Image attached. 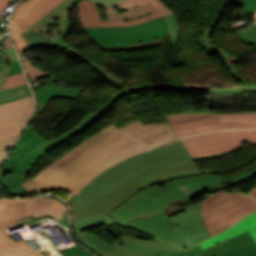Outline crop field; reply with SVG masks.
I'll list each match as a JSON object with an SVG mask.
<instances>
[{
    "label": "crop field",
    "mask_w": 256,
    "mask_h": 256,
    "mask_svg": "<svg viewBox=\"0 0 256 256\" xmlns=\"http://www.w3.org/2000/svg\"><path fill=\"white\" fill-rule=\"evenodd\" d=\"M147 150L110 125L71 149L21 186L31 193L67 190L72 194L103 169Z\"/></svg>",
    "instance_id": "8a807250"
},
{
    "label": "crop field",
    "mask_w": 256,
    "mask_h": 256,
    "mask_svg": "<svg viewBox=\"0 0 256 256\" xmlns=\"http://www.w3.org/2000/svg\"><path fill=\"white\" fill-rule=\"evenodd\" d=\"M221 183L222 174H204L166 183V188L156 186L138 193L116 212L107 215L114 221L141 229L160 241L170 242V224L167 215L163 213L168 203L185 198L192 199Z\"/></svg>",
    "instance_id": "ac0d7876"
},
{
    "label": "crop field",
    "mask_w": 256,
    "mask_h": 256,
    "mask_svg": "<svg viewBox=\"0 0 256 256\" xmlns=\"http://www.w3.org/2000/svg\"><path fill=\"white\" fill-rule=\"evenodd\" d=\"M125 90L116 92L95 114L87 113L82 122L61 136L46 140L31 128H27L16 148L0 171V184L14 193H29L19 184L24 182L33 166L48 152L89 128L108 110L114 107L112 102ZM21 161V163H19Z\"/></svg>",
    "instance_id": "34b2d1b8"
},
{
    "label": "crop field",
    "mask_w": 256,
    "mask_h": 256,
    "mask_svg": "<svg viewBox=\"0 0 256 256\" xmlns=\"http://www.w3.org/2000/svg\"><path fill=\"white\" fill-rule=\"evenodd\" d=\"M191 159L179 139L141 155L130 157L98 175L88 186L72 196L73 211L84 210L126 178L176 161Z\"/></svg>",
    "instance_id": "412701ff"
},
{
    "label": "crop field",
    "mask_w": 256,
    "mask_h": 256,
    "mask_svg": "<svg viewBox=\"0 0 256 256\" xmlns=\"http://www.w3.org/2000/svg\"><path fill=\"white\" fill-rule=\"evenodd\" d=\"M79 17L83 29L99 46H127L170 35L165 17L133 26L127 21L101 22L96 4L89 0L79 3Z\"/></svg>",
    "instance_id": "f4fd0767"
},
{
    "label": "crop field",
    "mask_w": 256,
    "mask_h": 256,
    "mask_svg": "<svg viewBox=\"0 0 256 256\" xmlns=\"http://www.w3.org/2000/svg\"><path fill=\"white\" fill-rule=\"evenodd\" d=\"M34 215V217H33ZM50 215L68 227L67 207L59 200L49 197H34L16 200L4 197L0 200V256H45L41 251L34 253L26 241L16 243L1 230L17 225V221L32 217L33 220Z\"/></svg>",
    "instance_id": "dd49c442"
},
{
    "label": "crop field",
    "mask_w": 256,
    "mask_h": 256,
    "mask_svg": "<svg viewBox=\"0 0 256 256\" xmlns=\"http://www.w3.org/2000/svg\"><path fill=\"white\" fill-rule=\"evenodd\" d=\"M204 173H221L218 170L198 171L193 160L167 164L136 174L121 182L116 188L103 196L87 210L73 212L74 220L109 213L132 193L154 184L186 175ZM133 195V194H132Z\"/></svg>",
    "instance_id": "e52e79f7"
},
{
    "label": "crop field",
    "mask_w": 256,
    "mask_h": 256,
    "mask_svg": "<svg viewBox=\"0 0 256 256\" xmlns=\"http://www.w3.org/2000/svg\"><path fill=\"white\" fill-rule=\"evenodd\" d=\"M165 117L176 138L211 130L256 127V111L228 114L182 113Z\"/></svg>",
    "instance_id": "d8731c3e"
},
{
    "label": "crop field",
    "mask_w": 256,
    "mask_h": 256,
    "mask_svg": "<svg viewBox=\"0 0 256 256\" xmlns=\"http://www.w3.org/2000/svg\"><path fill=\"white\" fill-rule=\"evenodd\" d=\"M255 210L256 200L240 191L212 194L202 205L205 225L212 236Z\"/></svg>",
    "instance_id": "5a996713"
},
{
    "label": "crop field",
    "mask_w": 256,
    "mask_h": 256,
    "mask_svg": "<svg viewBox=\"0 0 256 256\" xmlns=\"http://www.w3.org/2000/svg\"><path fill=\"white\" fill-rule=\"evenodd\" d=\"M180 141L191 158H201L226 153L246 142L256 146V129L208 132L186 138Z\"/></svg>",
    "instance_id": "3316defc"
},
{
    "label": "crop field",
    "mask_w": 256,
    "mask_h": 256,
    "mask_svg": "<svg viewBox=\"0 0 256 256\" xmlns=\"http://www.w3.org/2000/svg\"><path fill=\"white\" fill-rule=\"evenodd\" d=\"M33 110V97L0 105V164L6 148L17 139Z\"/></svg>",
    "instance_id": "28ad6ade"
},
{
    "label": "crop field",
    "mask_w": 256,
    "mask_h": 256,
    "mask_svg": "<svg viewBox=\"0 0 256 256\" xmlns=\"http://www.w3.org/2000/svg\"><path fill=\"white\" fill-rule=\"evenodd\" d=\"M204 200L187 206L185 212L172 217L170 220L179 225H173L171 234L173 239L171 242L182 248H189L195 244L212 237L203 221L201 214V205Z\"/></svg>",
    "instance_id": "d1516ede"
},
{
    "label": "crop field",
    "mask_w": 256,
    "mask_h": 256,
    "mask_svg": "<svg viewBox=\"0 0 256 256\" xmlns=\"http://www.w3.org/2000/svg\"><path fill=\"white\" fill-rule=\"evenodd\" d=\"M223 61L225 62L227 68L230 70L232 75L237 78L239 81L242 80L241 76L237 72L234 65H232L231 61L228 57L220 54ZM243 81V80H242ZM244 82V81H243ZM246 86H236L232 88H201V87H191V86H183L178 84H141L136 85L132 87H124L125 90H132L131 92L124 93L122 95H126L133 92L138 91H144L148 89H164V90H173L178 91L182 93H190L194 90H207L212 91L214 96H229V95H235V94H242L245 91L256 89V85H248L246 82H244Z\"/></svg>",
    "instance_id": "22f410ed"
},
{
    "label": "crop field",
    "mask_w": 256,
    "mask_h": 256,
    "mask_svg": "<svg viewBox=\"0 0 256 256\" xmlns=\"http://www.w3.org/2000/svg\"><path fill=\"white\" fill-rule=\"evenodd\" d=\"M79 239L80 243H82L84 246L87 248L91 249L92 251L98 253L102 249L106 248L108 245L101 239L86 233L84 235H79L77 236ZM123 245L129 246L135 250L141 251L146 254H151L153 255L155 250H164V251H183L179 249L178 247L165 243V242H149V241H143L139 239L132 238L130 236L125 235L122 237L121 240L117 241ZM115 244V243H114ZM113 244V245H114ZM111 245V246H113Z\"/></svg>",
    "instance_id": "cbeb9de0"
},
{
    "label": "crop field",
    "mask_w": 256,
    "mask_h": 256,
    "mask_svg": "<svg viewBox=\"0 0 256 256\" xmlns=\"http://www.w3.org/2000/svg\"><path fill=\"white\" fill-rule=\"evenodd\" d=\"M120 130L150 148H154L174 139L167 123L143 125L138 121L136 123L123 126Z\"/></svg>",
    "instance_id": "5142ce71"
},
{
    "label": "crop field",
    "mask_w": 256,
    "mask_h": 256,
    "mask_svg": "<svg viewBox=\"0 0 256 256\" xmlns=\"http://www.w3.org/2000/svg\"><path fill=\"white\" fill-rule=\"evenodd\" d=\"M63 0H27L15 10L12 21L21 30H25L38 19L48 14Z\"/></svg>",
    "instance_id": "d9b57169"
},
{
    "label": "crop field",
    "mask_w": 256,
    "mask_h": 256,
    "mask_svg": "<svg viewBox=\"0 0 256 256\" xmlns=\"http://www.w3.org/2000/svg\"><path fill=\"white\" fill-rule=\"evenodd\" d=\"M256 247L249 231L204 251L206 256H233Z\"/></svg>",
    "instance_id": "733c2abd"
},
{
    "label": "crop field",
    "mask_w": 256,
    "mask_h": 256,
    "mask_svg": "<svg viewBox=\"0 0 256 256\" xmlns=\"http://www.w3.org/2000/svg\"><path fill=\"white\" fill-rule=\"evenodd\" d=\"M249 230L252 237L256 241V212L250 214L245 219H243L238 224L232 226L231 228L227 229L223 233L208 239L201 243L203 249H206L208 247H212L226 239L233 238L245 231Z\"/></svg>",
    "instance_id": "4a817a6b"
},
{
    "label": "crop field",
    "mask_w": 256,
    "mask_h": 256,
    "mask_svg": "<svg viewBox=\"0 0 256 256\" xmlns=\"http://www.w3.org/2000/svg\"><path fill=\"white\" fill-rule=\"evenodd\" d=\"M84 89L56 87L52 83L35 91L37 100L50 102L54 97L76 98Z\"/></svg>",
    "instance_id": "bc2a9ffb"
},
{
    "label": "crop field",
    "mask_w": 256,
    "mask_h": 256,
    "mask_svg": "<svg viewBox=\"0 0 256 256\" xmlns=\"http://www.w3.org/2000/svg\"><path fill=\"white\" fill-rule=\"evenodd\" d=\"M110 223H113V221L107 215L90 217V218H85L79 221H74V229H75L76 235H78V234H83L81 231H83L86 228H89L92 226L101 227Z\"/></svg>",
    "instance_id": "214f88e0"
},
{
    "label": "crop field",
    "mask_w": 256,
    "mask_h": 256,
    "mask_svg": "<svg viewBox=\"0 0 256 256\" xmlns=\"http://www.w3.org/2000/svg\"><path fill=\"white\" fill-rule=\"evenodd\" d=\"M28 85L7 89L0 92V104L31 97Z\"/></svg>",
    "instance_id": "92a150f3"
},
{
    "label": "crop field",
    "mask_w": 256,
    "mask_h": 256,
    "mask_svg": "<svg viewBox=\"0 0 256 256\" xmlns=\"http://www.w3.org/2000/svg\"><path fill=\"white\" fill-rule=\"evenodd\" d=\"M105 10L107 13V21L129 20V19H135V18H139L147 15V13L141 7L132 11L122 12L119 14L117 10L114 8L113 4H111L109 6H106Z\"/></svg>",
    "instance_id": "dafd665d"
},
{
    "label": "crop field",
    "mask_w": 256,
    "mask_h": 256,
    "mask_svg": "<svg viewBox=\"0 0 256 256\" xmlns=\"http://www.w3.org/2000/svg\"><path fill=\"white\" fill-rule=\"evenodd\" d=\"M99 256H150L142 254L138 251L132 250L126 246L116 243L113 247H108L101 251Z\"/></svg>",
    "instance_id": "00972430"
},
{
    "label": "crop field",
    "mask_w": 256,
    "mask_h": 256,
    "mask_svg": "<svg viewBox=\"0 0 256 256\" xmlns=\"http://www.w3.org/2000/svg\"><path fill=\"white\" fill-rule=\"evenodd\" d=\"M212 29L206 27L204 34L201 36V44L205 50H207L211 55L216 54L217 52H220L222 54H225L229 57L233 56L227 51L219 48L211 41V33Z\"/></svg>",
    "instance_id": "a9b5d70f"
},
{
    "label": "crop field",
    "mask_w": 256,
    "mask_h": 256,
    "mask_svg": "<svg viewBox=\"0 0 256 256\" xmlns=\"http://www.w3.org/2000/svg\"><path fill=\"white\" fill-rule=\"evenodd\" d=\"M70 0H65L64 2H62L60 5H58L57 7H55L48 15H46L45 17L41 18L39 21H37L35 24H33L31 27H29L28 29H34V28H40V27H50L53 24V18L54 16L57 17V13L60 12V10L62 8H64V6L69 2ZM27 29V30H28Z\"/></svg>",
    "instance_id": "4177f3b9"
},
{
    "label": "crop field",
    "mask_w": 256,
    "mask_h": 256,
    "mask_svg": "<svg viewBox=\"0 0 256 256\" xmlns=\"http://www.w3.org/2000/svg\"><path fill=\"white\" fill-rule=\"evenodd\" d=\"M11 33L16 44V47L19 51L21 59L25 58L23 53L30 50L25 39L21 35V33L17 30L16 26L11 22Z\"/></svg>",
    "instance_id": "730fd06b"
},
{
    "label": "crop field",
    "mask_w": 256,
    "mask_h": 256,
    "mask_svg": "<svg viewBox=\"0 0 256 256\" xmlns=\"http://www.w3.org/2000/svg\"><path fill=\"white\" fill-rule=\"evenodd\" d=\"M237 32V35L243 42H247L256 46V25H249L244 27Z\"/></svg>",
    "instance_id": "eef30255"
},
{
    "label": "crop field",
    "mask_w": 256,
    "mask_h": 256,
    "mask_svg": "<svg viewBox=\"0 0 256 256\" xmlns=\"http://www.w3.org/2000/svg\"><path fill=\"white\" fill-rule=\"evenodd\" d=\"M22 62L26 68L30 82L53 75L51 72L46 73L37 69L27 59H23Z\"/></svg>",
    "instance_id": "ae1a2a85"
},
{
    "label": "crop field",
    "mask_w": 256,
    "mask_h": 256,
    "mask_svg": "<svg viewBox=\"0 0 256 256\" xmlns=\"http://www.w3.org/2000/svg\"><path fill=\"white\" fill-rule=\"evenodd\" d=\"M167 24L170 29L171 37L174 43H176V38L179 35V23L174 14L166 16Z\"/></svg>",
    "instance_id": "d3111659"
},
{
    "label": "crop field",
    "mask_w": 256,
    "mask_h": 256,
    "mask_svg": "<svg viewBox=\"0 0 256 256\" xmlns=\"http://www.w3.org/2000/svg\"><path fill=\"white\" fill-rule=\"evenodd\" d=\"M26 83L27 82L25 80V77H24L23 73L13 75V76H9V77L6 78L4 89L15 87V86L26 84Z\"/></svg>",
    "instance_id": "750c4746"
},
{
    "label": "crop field",
    "mask_w": 256,
    "mask_h": 256,
    "mask_svg": "<svg viewBox=\"0 0 256 256\" xmlns=\"http://www.w3.org/2000/svg\"><path fill=\"white\" fill-rule=\"evenodd\" d=\"M138 3L142 6L148 2H150L153 6H155L158 10L162 12L164 16L173 13L169 10L160 0H137Z\"/></svg>",
    "instance_id": "bd1437ed"
},
{
    "label": "crop field",
    "mask_w": 256,
    "mask_h": 256,
    "mask_svg": "<svg viewBox=\"0 0 256 256\" xmlns=\"http://www.w3.org/2000/svg\"><path fill=\"white\" fill-rule=\"evenodd\" d=\"M76 246L71 247L69 249L63 250L62 256H92L88 252L82 250L77 244Z\"/></svg>",
    "instance_id": "1d83c4d3"
},
{
    "label": "crop field",
    "mask_w": 256,
    "mask_h": 256,
    "mask_svg": "<svg viewBox=\"0 0 256 256\" xmlns=\"http://www.w3.org/2000/svg\"><path fill=\"white\" fill-rule=\"evenodd\" d=\"M5 50H6V56L8 60H11L13 62L18 61L16 54L14 52V49L11 45V42L9 39L6 40L5 44H4Z\"/></svg>",
    "instance_id": "120bbe31"
},
{
    "label": "crop field",
    "mask_w": 256,
    "mask_h": 256,
    "mask_svg": "<svg viewBox=\"0 0 256 256\" xmlns=\"http://www.w3.org/2000/svg\"><path fill=\"white\" fill-rule=\"evenodd\" d=\"M255 176H256V169H254V170H252V171H250V172H248V173H246V174H244V175H242L238 178L227 181L225 183L228 184V185H231V184H235V183H238V182L246 180V179L253 178Z\"/></svg>",
    "instance_id": "d32e631a"
},
{
    "label": "crop field",
    "mask_w": 256,
    "mask_h": 256,
    "mask_svg": "<svg viewBox=\"0 0 256 256\" xmlns=\"http://www.w3.org/2000/svg\"><path fill=\"white\" fill-rule=\"evenodd\" d=\"M256 11V0H247L242 15H254Z\"/></svg>",
    "instance_id": "5866460e"
},
{
    "label": "crop field",
    "mask_w": 256,
    "mask_h": 256,
    "mask_svg": "<svg viewBox=\"0 0 256 256\" xmlns=\"http://www.w3.org/2000/svg\"><path fill=\"white\" fill-rule=\"evenodd\" d=\"M143 9H144L146 12H148V13L152 16L153 19L156 18V17H161V16H163V15L161 14V12H159V11H158L155 7H153L150 3L147 4V5H145V6H143Z\"/></svg>",
    "instance_id": "028f5c9d"
},
{
    "label": "crop field",
    "mask_w": 256,
    "mask_h": 256,
    "mask_svg": "<svg viewBox=\"0 0 256 256\" xmlns=\"http://www.w3.org/2000/svg\"><path fill=\"white\" fill-rule=\"evenodd\" d=\"M9 69H10V67H7V66L0 63V91L3 88L5 78H6V75L9 71Z\"/></svg>",
    "instance_id": "e1f06a70"
},
{
    "label": "crop field",
    "mask_w": 256,
    "mask_h": 256,
    "mask_svg": "<svg viewBox=\"0 0 256 256\" xmlns=\"http://www.w3.org/2000/svg\"><path fill=\"white\" fill-rule=\"evenodd\" d=\"M184 256H205L200 248V246L196 245L194 248L185 251Z\"/></svg>",
    "instance_id": "0bd39190"
},
{
    "label": "crop field",
    "mask_w": 256,
    "mask_h": 256,
    "mask_svg": "<svg viewBox=\"0 0 256 256\" xmlns=\"http://www.w3.org/2000/svg\"><path fill=\"white\" fill-rule=\"evenodd\" d=\"M164 213H166L169 217H172V216H174V215H176V214L181 213V211H180L178 208H176L172 203H170V204L166 207V210H165Z\"/></svg>",
    "instance_id": "b80d0937"
},
{
    "label": "crop field",
    "mask_w": 256,
    "mask_h": 256,
    "mask_svg": "<svg viewBox=\"0 0 256 256\" xmlns=\"http://www.w3.org/2000/svg\"><path fill=\"white\" fill-rule=\"evenodd\" d=\"M184 252H163L156 251L154 256H182Z\"/></svg>",
    "instance_id": "c035e120"
},
{
    "label": "crop field",
    "mask_w": 256,
    "mask_h": 256,
    "mask_svg": "<svg viewBox=\"0 0 256 256\" xmlns=\"http://www.w3.org/2000/svg\"><path fill=\"white\" fill-rule=\"evenodd\" d=\"M22 35L24 36V38L26 39L30 49H34V48H37L32 40V38L30 37L28 31H25V32H21Z\"/></svg>",
    "instance_id": "c21b1889"
},
{
    "label": "crop field",
    "mask_w": 256,
    "mask_h": 256,
    "mask_svg": "<svg viewBox=\"0 0 256 256\" xmlns=\"http://www.w3.org/2000/svg\"><path fill=\"white\" fill-rule=\"evenodd\" d=\"M150 19H151L150 16L147 15V16H145L143 18H139V19H135V20H130L128 22H129L130 25H133V24H139V23L145 22V21L150 20Z\"/></svg>",
    "instance_id": "03da06ac"
},
{
    "label": "crop field",
    "mask_w": 256,
    "mask_h": 256,
    "mask_svg": "<svg viewBox=\"0 0 256 256\" xmlns=\"http://www.w3.org/2000/svg\"><path fill=\"white\" fill-rule=\"evenodd\" d=\"M118 4L121 8H124V7L130 6V5L136 4V1L135 0H125L122 2H118Z\"/></svg>",
    "instance_id": "b54c1fbb"
},
{
    "label": "crop field",
    "mask_w": 256,
    "mask_h": 256,
    "mask_svg": "<svg viewBox=\"0 0 256 256\" xmlns=\"http://www.w3.org/2000/svg\"><path fill=\"white\" fill-rule=\"evenodd\" d=\"M92 1L100 5H107V4L115 3L121 0H92Z\"/></svg>",
    "instance_id": "5d738f31"
},
{
    "label": "crop field",
    "mask_w": 256,
    "mask_h": 256,
    "mask_svg": "<svg viewBox=\"0 0 256 256\" xmlns=\"http://www.w3.org/2000/svg\"><path fill=\"white\" fill-rule=\"evenodd\" d=\"M236 256H256V248H254L252 250H249V251H246V252L241 253V254L236 255Z\"/></svg>",
    "instance_id": "d23c7cc5"
},
{
    "label": "crop field",
    "mask_w": 256,
    "mask_h": 256,
    "mask_svg": "<svg viewBox=\"0 0 256 256\" xmlns=\"http://www.w3.org/2000/svg\"><path fill=\"white\" fill-rule=\"evenodd\" d=\"M38 102V104H39V110H38V112H37V114L35 115V117L37 116V115H39L43 110H44V108L46 107V105L48 104V103H45V102H39V101H37ZM34 117V118H35ZM33 118V119H34ZM32 119V120H33Z\"/></svg>",
    "instance_id": "425ffa30"
},
{
    "label": "crop field",
    "mask_w": 256,
    "mask_h": 256,
    "mask_svg": "<svg viewBox=\"0 0 256 256\" xmlns=\"http://www.w3.org/2000/svg\"><path fill=\"white\" fill-rule=\"evenodd\" d=\"M246 0H231V4L244 7Z\"/></svg>",
    "instance_id": "25e5ab78"
},
{
    "label": "crop field",
    "mask_w": 256,
    "mask_h": 256,
    "mask_svg": "<svg viewBox=\"0 0 256 256\" xmlns=\"http://www.w3.org/2000/svg\"><path fill=\"white\" fill-rule=\"evenodd\" d=\"M10 0H0V14L2 13V11L5 9V7L7 6L8 2Z\"/></svg>",
    "instance_id": "73cf0c24"
},
{
    "label": "crop field",
    "mask_w": 256,
    "mask_h": 256,
    "mask_svg": "<svg viewBox=\"0 0 256 256\" xmlns=\"http://www.w3.org/2000/svg\"><path fill=\"white\" fill-rule=\"evenodd\" d=\"M137 7H139L138 4L130 6V7H127V8H124V10L127 11V10H131V9H134V8H137Z\"/></svg>",
    "instance_id": "89e229c0"
},
{
    "label": "crop field",
    "mask_w": 256,
    "mask_h": 256,
    "mask_svg": "<svg viewBox=\"0 0 256 256\" xmlns=\"http://www.w3.org/2000/svg\"><path fill=\"white\" fill-rule=\"evenodd\" d=\"M0 57H3V58L6 59L4 47H3V48L1 49V51H0Z\"/></svg>",
    "instance_id": "1f2cbd36"
},
{
    "label": "crop field",
    "mask_w": 256,
    "mask_h": 256,
    "mask_svg": "<svg viewBox=\"0 0 256 256\" xmlns=\"http://www.w3.org/2000/svg\"><path fill=\"white\" fill-rule=\"evenodd\" d=\"M250 194L254 197H256V186L254 188H252Z\"/></svg>",
    "instance_id": "dbb93151"
},
{
    "label": "crop field",
    "mask_w": 256,
    "mask_h": 256,
    "mask_svg": "<svg viewBox=\"0 0 256 256\" xmlns=\"http://www.w3.org/2000/svg\"><path fill=\"white\" fill-rule=\"evenodd\" d=\"M50 79H51V80H49V81H47V82H44V81H43V82L47 85V84L51 83V82H52V80H56V78H55V77H51Z\"/></svg>",
    "instance_id": "0fb4a251"
},
{
    "label": "crop field",
    "mask_w": 256,
    "mask_h": 256,
    "mask_svg": "<svg viewBox=\"0 0 256 256\" xmlns=\"http://www.w3.org/2000/svg\"><path fill=\"white\" fill-rule=\"evenodd\" d=\"M13 62L10 61V66H12Z\"/></svg>",
    "instance_id": "1d79db26"
},
{
    "label": "crop field",
    "mask_w": 256,
    "mask_h": 256,
    "mask_svg": "<svg viewBox=\"0 0 256 256\" xmlns=\"http://www.w3.org/2000/svg\"><path fill=\"white\" fill-rule=\"evenodd\" d=\"M2 197H4V196L0 194V199H1Z\"/></svg>",
    "instance_id": "9d1cf04e"
},
{
    "label": "crop field",
    "mask_w": 256,
    "mask_h": 256,
    "mask_svg": "<svg viewBox=\"0 0 256 256\" xmlns=\"http://www.w3.org/2000/svg\"><path fill=\"white\" fill-rule=\"evenodd\" d=\"M254 24H256V16H255V23Z\"/></svg>",
    "instance_id": "447ae74e"
}]
</instances>
